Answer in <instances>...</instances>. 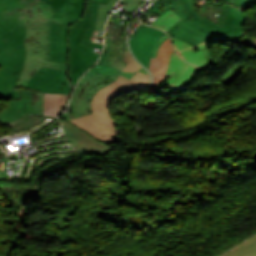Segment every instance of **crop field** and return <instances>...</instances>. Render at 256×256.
Returning <instances> with one entry per match:
<instances>
[{"instance_id": "crop-field-1", "label": "crop field", "mask_w": 256, "mask_h": 256, "mask_svg": "<svg viewBox=\"0 0 256 256\" xmlns=\"http://www.w3.org/2000/svg\"><path fill=\"white\" fill-rule=\"evenodd\" d=\"M124 61L127 65L117 79L94 96L92 100L93 114L68 120L107 143L119 140L116 127L118 123L112 119L108 110L110 100L119 94L145 89L150 84V75L135 61L128 48Z\"/></svg>"}, {"instance_id": "crop-field-2", "label": "crop field", "mask_w": 256, "mask_h": 256, "mask_svg": "<svg viewBox=\"0 0 256 256\" xmlns=\"http://www.w3.org/2000/svg\"><path fill=\"white\" fill-rule=\"evenodd\" d=\"M126 47V41L106 39L100 60L81 78L73 93L70 106L74 108L75 118L92 113V97L113 82L126 65L123 61Z\"/></svg>"}, {"instance_id": "crop-field-3", "label": "crop field", "mask_w": 256, "mask_h": 256, "mask_svg": "<svg viewBox=\"0 0 256 256\" xmlns=\"http://www.w3.org/2000/svg\"><path fill=\"white\" fill-rule=\"evenodd\" d=\"M182 1L193 18L187 21L181 19L167 33L193 46L205 41L211 44L217 42L237 43L244 35L242 28L245 15L233 6L227 15L225 27L222 28L198 14L194 0Z\"/></svg>"}, {"instance_id": "crop-field-4", "label": "crop field", "mask_w": 256, "mask_h": 256, "mask_svg": "<svg viewBox=\"0 0 256 256\" xmlns=\"http://www.w3.org/2000/svg\"><path fill=\"white\" fill-rule=\"evenodd\" d=\"M22 20L27 27L25 39L27 58L17 85H26L41 66L66 70L67 77V65L47 62L50 21H52L51 8L44 2L38 1Z\"/></svg>"}, {"instance_id": "crop-field-5", "label": "crop field", "mask_w": 256, "mask_h": 256, "mask_svg": "<svg viewBox=\"0 0 256 256\" xmlns=\"http://www.w3.org/2000/svg\"><path fill=\"white\" fill-rule=\"evenodd\" d=\"M38 0H0V35L23 26L21 18ZM53 9V22L80 27L86 0H40ZM107 4L109 0H94Z\"/></svg>"}, {"instance_id": "crop-field-6", "label": "crop field", "mask_w": 256, "mask_h": 256, "mask_svg": "<svg viewBox=\"0 0 256 256\" xmlns=\"http://www.w3.org/2000/svg\"><path fill=\"white\" fill-rule=\"evenodd\" d=\"M25 33L23 26L0 36V100L21 99L13 88L26 58Z\"/></svg>"}, {"instance_id": "crop-field-7", "label": "crop field", "mask_w": 256, "mask_h": 256, "mask_svg": "<svg viewBox=\"0 0 256 256\" xmlns=\"http://www.w3.org/2000/svg\"><path fill=\"white\" fill-rule=\"evenodd\" d=\"M91 10L92 5L87 4L81 28L71 26L68 32V79L73 85L100 55L93 52L94 48L80 45L86 28H90Z\"/></svg>"}, {"instance_id": "crop-field-8", "label": "crop field", "mask_w": 256, "mask_h": 256, "mask_svg": "<svg viewBox=\"0 0 256 256\" xmlns=\"http://www.w3.org/2000/svg\"><path fill=\"white\" fill-rule=\"evenodd\" d=\"M22 100H11L9 105L0 112V123L6 124L17 120L27 113L43 116V93L27 88H18ZM30 93H37L39 100L32 102Z\"/></svg>"}, {"instance_id": "crop-field-9", "label": "crop field", "mask_w": 256, "mask_h": 256, "mask_svg": "<svg viewBox=\"0 0 256 256\" xmlns=\"http://www.w3.org/2000/svg\"><path fill=\"white\" fill-rule=\"evenodd\" d=\"M70 83L65 80V71L41 67L26 86L42 92L71 93Z\"/></svg>"}, {"instance_id": "crop-field-10", "label": "crop field", "mask_w": 256, "mask_h": 256, "mask_svg": "<svg viewBox=\"0 0 256 256\" xmlns=\"http://www.w3.org/2000/svg\"><path fill=\"white\" fill-rule=\"evenodd\" d=\"M62 122L67 138L80 153L104 156L109 152L110 148L101 141L68 121Z\"/></svg>"}, {"instance_id": "crop-field-11", "label": "crop field", "mask_w": 256, "mask_h": 256, "mask_svg": "<svg viewBox=\"0 0 256 256\" xmlns=\"http://www.w3.org/2000/svg\"><path fill=\"white\" fill-rule=\"evenodd\" d=\"M164 34L165 33L155 28L142 24L136 29L131 41L129 40L133 53L147 68L149 66L152 47L154 43Z\"/></svg>"}, {"instance_id": "crop-field-12", "label": "crop field", "mask_w": 256, "mask_h": 256, "mask_svg": "<svg viewBox=\"0 0 256 256\" xmlns=\"http://www.w3.org/2000/svg\"><path fill=\"white\" fill-rule=\"evenodd\" d=\"M171 38L173 41V47L185 60L204 67H208L215 62L209 50L207 49V42L192 47L173 36H171Z\"/></svg>"}, {"instance_id": "crop-field-13", "label": "crop field", "mask_w": 256, "mask_h": 256, "mask_svg": "<svg viewBox=\"0 0 256 256\" xmlns=\"http://www.w3.org/2000/svg\"><path fill=\"white\" fill-rule=\"evenodd\" d=\"M69 26L51 23L49 59L51 62L68 63L67 32Z\"/></svg>"}, {"instance_id": "crop-field-14", "label": "crop field", "mask_w": 256, "mask_h": 256, "mask_svg": "<svg viewBox=\"0 0 256 256\" xmlns=\"http://www.w3.org/2000/svg\"><path fill=\"white\" fill-rule=\"evenodd\" d=\"M173 51L170 37L159 47L156 59L151 58L149 70L153 75L152 86L146 91H154L165 77L170 55Z\"/></svg>"}, {"instance_id": "crop-field-15", "label": "crop field", "mask_w": 256, "mask_h": 256, "mask_svg": "<svg viewBox=\"0 0 256 256\" xmlns=\"http://www.w3.org/2000/svg\"><path fill=\"white\" fill-rule=\"evenodd\" d=\"M171 8L184 20L192 18L181 0H156L147 11L158 17Z\"/></svg>"}, {"instance_id": "crop-field-16", "label": "crop field", "mask_w": 256, "mask_h": 256, "mask_svg": "<svg viewBox=\"0 0 256 256\" xmlns=\"http://www.w3.org/2000/svg\"><path fill=\"white\" fill-rule=\"evenodd\" d=\"M67 100L68 95L44 93V114L56 117L66 106Z\"/></svg>"}, {"instance_id": "crop-field-17", "label": "crop field", "mask_w": 256, "mask_h": 256, "mask_svg": "<svg viewBox=\"0 0 256 256\" xmlns=\"http://www.w3.org/2000/svg\"><path fill=\"white\" fill-rule=\"evenodd\" d=\"M187 62L182 60L176 53L173 51L169 66L167 69L166 75L171 76L166 85L173 87L180 79Z\"/></svg>"}, {"instance_id": "crop-field-18", "label": "crop field", "mask_w": 256, "mask_h": 256, "mask_svg": "<svg viewBox=\"0 0 256 256\" xmlns=\"http://www.w3.org/2000/svg\"><path fill=\"white\" fill-rule=\"evenodd\" d=\"M117 1L118 0H110L107 5L102 4V3L100 4L95 31H94L93 36L90 41L96 42L97 38H103V28L105 25V21L110 13L112 7L114 6V4Z\"/></svg>"}, {"instance_id": "crop-field-19", "label": "crop field", "mask_w": 256, "mask_h": 256, "mask_svg": "<svg viewBox=\"0 0 256 256\" xmlns=\"http://www.w3.org/2000/svg\"><path fill=\"white\" fill-rule=\"evenodd\" d=\"M180 19L181 18L171 9L159 18H157L151 25L167 32Z\"/></svg>"}, {"instance_id": "crop-field-20", "label": "crop field", "mask_w": 256, "mask_h": 256, "mask_svg": "<svg viewBox=\"0 0 256 256\" xmlns=\"http://www.w3.org/2000/svg\"><path fill=\"white\" fill-rule=\"evenodd\" d=\"M224 256H256V236Z\"/></svg>"}, {"instance_id": "crop-field-21", "label": "crop field", "mask_w": 256, "mask_h": 256, "mask_svg": "<svg viewBox=\"0 0 256 256\" xmlns=\"http://www.w3.org/2000/svg\"><path fill=\"white\" fill-rule=\"evenodd\" d=\"M198 68L199 66L191 65L188 63L180 81L173 87L174 90L172 93H178V94L182 93L185 90V88L188 86L190 80L192 79L193 75L198 70Z\"/></svg>"}, {"instance_id": "crop-field-22", "label": "crop field", "mask_w": 256, "mask_h": 256, "mask_svg": "<svg viewBox=\"0 0 256 256\" xmlns=\"http://www.w3.org/2000/svg\"><path fill=\"white\" fill-rule=\"evenodd\" d=\"M87 3L93 4L92 23H91V29H87L86 30V33L84 35V38H83V41H82L81 44L92 46V47H97V48H101L102 49L103 45L89 42V40L91 38V35H92L93 31H94L99 3L98 2H94V1H90V0H87Z\"/></svg>"}, {"instance_id": "crop-field-23", "label": "crop field", "mask_w": 256, "mask_h": 256, "mask_svg": "<svg viewBox=\"0 0 256 256\" xmlns=\"http://www.w3.org/2000/svg\"><path fill=\"white\" fill-rule=\"evenodd\" d=\"M145 0H121V2L127 4L125 9L124 14L128 15L131 17V15L134 13L137 7L141 5L142 2Z\"/></svg>"}, {"instance_id": "crop-field-24", "label": "crop field", "mask_w": 256, "mask_h": 256, "mask_svg": "<svg viewBox=\"0 0 256 256\" xmlns=\"http://www.w3.org/2000/svg\"><path fill=\"white\" fill-rule=\"evenodd\" d=\"M243 65L239 64L232 67L223 77L222 82L225 85L228 83L232 78H234L238 73L242 71Z\"/></svg>"}, {"instance_id": "crop-field-25", "label": "crop field", "mask_w": 256, "mask_h": 256, "mask_svg": "<svg viewBox=\"0 0 256 256\" xmlns=\"http://www.w3.org/2000/svg\"><path fill=\"white\" fill-rule=\"evenodd\" d=\"M230 8H231L230 5L224 3V5L222 6V9L220 11L217 24H219V25L224 27L226 15H227V13H228Z\"/></svg>"}, {"instance_id": "crop-field-26", "label": "crop field", "mask_w": 256, "mask_h": 256, "mask_svg": "<svg viewBox=\"0 0 256 256\" xmlns=\"http://www.w3.org/2000/svg\"><path fill=\"white\" fill-rule=\"evenodd\" d=\"M167 37H169V36H168L167 34H165L164 36H162V37L156 42V44H155L154 47H153V51H152L151 57H154V58H155L156 52H157V49H158L159 45H160Z\"/></svg>"}, {"instance_id": "crop-field-27", "label": "crop field", "mask_w": 256, "mask_h": 256, "mask_svg": "<svg viewBox=\"0 0 256 256\" xmlns=\"http://www.w3.org/2000/svg\"><path fill=\"white\" fill-rule=\"evenodd\" d=\"M247 47L256 50V40L253 39Z\"/></svg>"}, {"instance_id": "crop-field-28", "label": "crop field", "mask_w": 256, "mask_h": 256, "mask_svg": "<svg viewBox=\"0 0 256 256\" xmlns=\"http://www.w3.org/2000/svg\"><path fill=\"white\" fill-rule=\"evenodd\" d=\"M255 4H256V1H255V2H252V3H248V4H246V5L242 6V7H240L239 9L243 11V10H245V9H247V8H249V7L253 6V5H255Z\"/></svg>"}, {"instance_id": "crop-field-29", "label": "crop field", "mask_w": 256, "mask_h": 256, "mask_svg": "<svg viewBox=\"0 0 256 256\" xmlns=\"http://www.w3.org/2000/svg\"><path fill=\"white\" fill-rule=\"evenodd\" d=\"M226 1H228V0H226Z\"/></svg>"}]
</instances>
